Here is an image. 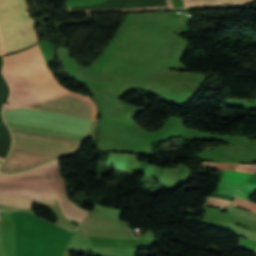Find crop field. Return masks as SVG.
<instances>
[{
    "label": "crop field",
    "instance_id": "crop-field-3",
    "mask_svg": "<svg viewBox=\"0 0 256 256\" xmlns=\"http://www.w3.org/2000/svg\"><path fill=\"white\" fill-rule=\"evenodd\" d=\"M1 221H13V222H33L42 221L41 219L25 213V212H5L1 215ZM1 226V222H0ZM0 256H4L0 246Z\"/></svg>",
    "mask_w": 256,
    "mask_h": 256
},
{
    "label": "crop field",
    "instance_id": "crop-field-6",
    "mask_svg": "<svg viewBox=\"0 0 256 256\" xmlns=\"http://www.w3.org/2000/svg\"><path fill=\"white\" fill-rule=\"evenodd\" d=\"M232 205L243 207L246 210L252 211L256 213V204L241 200L239 198H235Z\"/></svg>",
    "mask_w": 256,
    "mask_h": 256
},
{
    "label": "crop field",
    "instance_id": "crop-field-2",
    "mask_svg": "<svg viewBox=\"0 0 256 256\" xmlns=\"http://www.w3.org/2000/svg\"><path fill=\"white\" fill-rule=\"evenodd\" d=\"M52 199L67 219L80 224L87 217L68 200L57 160L17 174L0 173V204L30 208L33 202L55 205Z\"/></svg>",
    "mask_w": 256,
    "mask_h": 256
},
{
    "label": "crop field",
    "instance_id": "crop-field-7",
    "mask_svg": "<svg viewBox=\"0 0 256 256\" xmlns=\"http://www.w3.org/2000/svg\"><path fill=\"white\" fill-rule=\"evenodd\" d=\"M238 165L236 163H206L203 162V167H214L220 169H234L235 166Z\"/></svg>",
    "mask_w": 256,
    "mask_h": 256
},
{
    "label": "crop field",
    "instance_id": "crop-field-1",
    "mask_svg": "<svg viewBox=\"0 0 256 256\" xmlns=\"http://www.w3.org/2000/svg\"><path fill=\"white\" fill-rule=\"evenodd\" d=\"M39 47V46H38ZM38 47L31 48L23 53L5 58L3 68L11 88L8 100L9 107L4 105L3 117L5 122L92 136L95 122V106L88 96H81L68 92L57 84L46 68V64ZM48 74L54 84L44 85L31 89L14 92L12 83L27 80ZM13 135V145L10 154L0 166V171L12 173L30 169L38 164L55 159L60 154L74 150V140L43 136L10 130Z\"/></svg>",
    "mask_w": 256,
    "mask_h": 256
},
{
    "label": "crop field",
    "instance_id": "crop-field-5",
    "mask_svg": "<svg viewBox=\"0 0 256 256\" xmlns=\"http://www.w3.org/2000/svg\"><path fill=\"white\" fill-rule=\"evenodd\" d=\"M230 202L231 201H228V200L208 197V199H207V201H206V203L204 205L211 206V207L227 209V207L230 204Z\"/></svg>",
    "mask_w": 256,
    "mask_h": 256
},
{
    "label": "crop field",
    "instance_id": "crop-field-8",
    "mask_svg": "<svg viewBox=\"0 0 256 256\" xmlns=\"http://www.w3.org/2000/svg\"><path fill=\"white\" fill-rule=\"evenodd\" d=\"M236 170L242 171V172L254 173L256 170V165H239Z\"/></svg>",
    "mask_w": 256,
    "mask_h": 256
},
{
    "label": "crop field",
    "instance_id": "crop-field-4",
    "mask_svg": "<svg viewBox=\"0 0 256 256\" xmlns=\"http://www.w3.org/2000/svg\"><path fill=\"white\" fill-rule=\"evenodd\" d=\"M252 174L223 170L220 182L243 185Z\"/></svg>",
    "mask_w": 256,
    "mask_h": 256
}]
</instances>
